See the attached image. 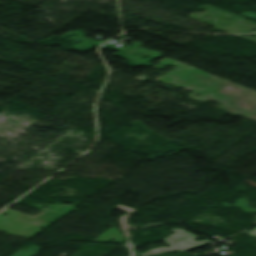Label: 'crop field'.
Masks as SVG:
<instances>
[{
	"mask_svg": "<svg viewBox=\"0 0 256 256\" xmlns=\"http://www.w3.org/2000/svg\"><path fill=\"white\" fill-rule=\"evenodd\" d=\"M250 236H256V228L252 229L251 231L247 232Z\"/></svg>",
	"mask_w": 256,
	"mask_h": 256,
	"instance_id": "6",
	"label": "crop field"
},
{
	"mask_svg": "<svg viewBox=\"0 0 256 256\" xmlns=\"http://www.w3.org/2000/svg\"><path fill=\"white\" fill-rule=\"evenodd\" d=\"M115 208L127 211L123 216L119 217V221H120L121 231L124 232V235L127 236V238H129L127 229H132V228H136V227L127 228V226H132V225H127L126 219H128L130 217V214L133 211H135L136 209L128 208V207H123V206H119V205H116ZM127 213H128V215H127ZM126 215H127V218H126ZM149 224H153V225H149ZM159 225H161V223H158V224L148 223V226H141L139 228L154 227V226H159Z\"/></svg>",
	"mask_w": 256,
	"mask_h": 256,
	"instance_id": "2",
	"label": "crop field"
},
{
	"mask_svg": "<svg viewBox=\"0 0 256 256\" xmlns=\"http://www.w3.org/2000/svg\"><path fill=\"white\" fill-rule=\"evenodd\" d=\"M221 205H223L225 207H233V205H230L226 202L221 203ZM234 206H238V207L242 208L244 212H254V213H256V209H253V208L249 207L248 201L244 198H241V199L235 201Z\"/></svg>",
	"mask_w": 256,
	"mask_h": 256,
	"instance_id": "3",
	"label": "crop field"
},
{
	"mask_svg": "<svg viewBox=\"0 0 256 256\" xmlns=\"http://www.w3.org/2000/svg\"><path fill=\"white\" fill-rule=\"evenodd\" d=\"M171 230L174 234L170 235L167 238H163L164 243L170 245L169 248L162 247V248L152 249L139 255L148 256V255H153L158 253L172 252L175 250L182 252V251L189 250V249L199 247L209 243L207 239L198 241V242L194 241V239L197 237L193 234L187 233L182 228H175ZM187 241H189V243H186Z\"/></svg>",
	"mask_w": 256,
	"mask_h": 256,
	"instance_id": "1",
	"label": "crop field"
},
{
	"mask_svg": "<svg viewBox=\"0 0 256 256\" xmlns=\"http://www.w3.org/2000/svg\"><path fill=\"white\" fill-rule=\"evenodd\" d=\"M37 251V246H30L28 248H26V251L23 253H15L12 256H32L34 254H36Z\"/></svg>",
	"mask_w": 256,
	"mask_h": 256,
	"instance_id": "4",
	"label": "crop field"
},
{
	"mask_svg": "<svg viewBox=\"0 0 256 256\" xmlns=\"http://www.w3.org/2000/svg\"><path fill=\"white\" fill-rule=\"evenodd\" d=\"M123 246L128 249L130 256H136V254L132 251L134 248V245L129 241V239L127 240L126 244Z\"/></svg>",
	"mask_w": 256,
	"mask_h": 256,
	"instance_id": "5",
	"label": "crop field"
}]
</instances>
